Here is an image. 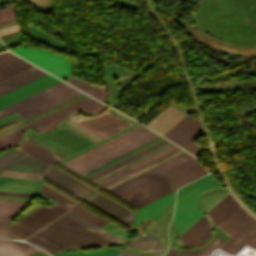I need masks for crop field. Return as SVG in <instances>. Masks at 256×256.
Masks as SVG:
<instances>
[{"instance_id": "17", "label": "crop field", "mask_w": 256, "mask_h": 256, "mask_svg": "<svg viewBox=\"0 0 256 256\" xmlns=\"http://www.w3.org/2000/svg\"><path fill=\"white\" fill-rule=\"evenodd\" d=\"M27 203L24 201L0 199V238H17L8 232L7 226L15 214Z\"/></svg>"}, {"instance_id": "27", "label": "crop field", "mask_w": 256, "mask_h": 256, "mask_svg": "<svg viewBox=\"0 0 256 256\" xmlns=\"http://www.w3.org/2000/svg\"><path fill=\"white\" fill-rule=\"evenodd\" d=\"M255 233H256V220L253 219L230 241H228L224 246H222L221 249L232 254L241 245H243L248 239H250Z\"/></svg>"}, {"instance_id": "39", "label": "crop field", "mask_w": 256, "mask_h": 256, "mask_svg": "<svg viewBox=\"0 0 256 256\" xmlns=\"http://www.w3.org/2000/svg\"><path fill=\"white\" fill-rule=\"evenodd\" d=\"M118 251L113 252H99V253H86V254H73V255H59V256H113Z\"/></svg>"}, {"instance_id": "14", "label": "crop field", "mask_w": 256, "mask_h": 256, "mask_svg": "<svg viewBox=\"0 0 256 256\" xmlns=\"http://www.w3.org/2000/svg\"><path fill=\"white\" fill-rule=\"evenodd\" d=\"M84 200L88 201L89 203L93 204L104 212L110 214L111 216L115 217L126 225L131 226L135 214L124 209L123 207L102 196L101 194L96 192Z\"/></svg>"}, {"instance_id": "6", "label": "crop field", "mask_w": 256, "mask_h": 256, "mask_svg": "<svg viewBox=\"0 0 256 256\" xmlns=\"http://www.w3.org/2000/svg\"><path fill=\"white\" fill-rule=\"evenodd\" d=\"M10 51L62 79L71 72L72 64L68 60L50 54L47 51L24 47L13 48Z\"/></svg>"}, {"instance_id": "25", "label": "crop field", "mask_w": 256, "mask_h": 256, "mask_svg": "<svg viewBox=\"0 0 256 256\" xmlns=\"http://www.w3.org/2000/svg\"><path fill=\"white\" fill-rule=\"evenodd\" d=\"M240 205L235 198L229 193L218 204H216L207 213L212 217L216 226L230 215Z\"/></svg>"}, {"instance_id": "4", "label": "crop field", "mask_w": 256, "mask_h": 256, "mask_svg": "<svg viewBox=\"0 0 256 256\" xmlns=\"http://www.w3.org/2000/svg\"><path fill=\"white\" fill-rule=\"evenodd\" d=\"M51 87V86H50ZM83 94L61 82L0 111V119L17 111L26 119Z\"/></svg>"}, {"instance_id": "2", "label": "crop field", "mask_w": 256, "mask_h": 256, "mask_svg": "<svg viewBox=\"0 0 256 256\" xmlns=\"http://www.w3.org/2000/svg\"><path fill=\"white\" fill-rule=\"evenodd\" d=\"M158 136L160 135L140 125L63 164L82 175Z\"/></svg>"}, {"instance_id": "13", "label": "crop field", "mask_w": 256, "mask_h": 256, "mask_svg": "<svg viewBox=\"0 0 256 256\" xmlns=\"http://www.w3.org/2000/svg\"><path fill=\"white\" fill-rule=\"evenodd\" d=\"M43 177L82 199L95 191L52 166L44 169Z\"/></svg>"}, {"instance_id": "43", "label": "crop field", "mask_w": 256, "mask_h": 256, "mask_svg": "<svg viewBox=\"0 0 256 256\" xmlns=\"http://www.w3.org/2000/svg\"><path fill=\"white\" fill-rule=\"evenodd\" d=\"M179 250L169 249L168 253L165 256H176Z\"/></svg>"}, {"instance_id": "40", "label": "crop field", "mask_w": 256, "mask_h": 256, "mask_svg": "<svg viewBox=\"0 0 256 256\" xmlns=\"http://www.w3.org/2000/svg\"><path fill=\"white\" fill-rule=\"evenodd\" d=\"M67 121H69V122H71V123H73V124L83 128V129H85L86 131H88V132H90V133H92V134H94V135H96V136H98V137H100L102 139H104L106 137V136H104V135H102V134H100V133H98V132H96V131H94V130H92V129H90V128H88V127H86V126H84V125L74 121V120H72V119H70V118Z\"/></svg>"}, {"instance_id": "34", "label": "crop field", "mask_w": 256, "mask_h": 256, "mask_svg": "<svg viewBox=\"0 0 256 256\" xmlns=\"http://www.w3.org/2000/svg\"><path fill=\"white\" fill-rule=\"evenodd\" d=\"M70 210L74 211L75 213L79 214L80 216L84 217L85 219L89 220L90 222L94 223L99 227L107 222L78 204Z\"/></svg>"}, {"instance_id": "18", "label": "crop field", "mask_w": 256, "mask_h": 256, "mask_svg": "<svg viewBox=\"0 0 256 256\" xmlns=\"http://www.w3.org/2000/svg\"><path fill=\"white\" fill-rule=\"evenodd\" d=\"M42 137L74 153L92 144L64 129H61L52 134L42 135Z\"/></svg>"}, {"instance_id": "12", "label": "crop field", "mask_w": 256, "mask_h": 256, "mask_svg": "<svg viewBox=\"0 0 256 256\" xmlns=\"http://www.w3.org/2000/svg\"><path fill=\"white\" fill-rule=\"evenodd\" d=\"M206 173L207 171L192 158L162 174L170 179L172 190H174Z\"/></svg>"}, {"instance_id": "38", "label": "crop field", "mask_w": 256, "mask_h": 256, "mask_svg": "<svg viewBox=\"0 0 256 256\" xmlns=\"http://www.w3.org/2000/svg\"><path fill=\"white\" fill-rule=\"evenodd\" d=\"M207 176V175H206ZM206 176L182 187L179 189L178 191V195H177V201L180 200L184 195H186L190 190H192L200 181H202ZM176 201V202H177Z\"/></svg>"}, {"instance_id": "15", "label": "crop field", "mask_w": 256, "mask_h": 256, "mask_svg": "<svg viewBox=\"0 0 256 256\" xmlns=\"http://www.w3.org/2000/svg\"><path fill=\"white\" fill-rule=\"evenodd\" d=\"M80 123L108 136L127 126L128 124L104 113L100 116L79 121Z\"/></svg>"}, {"instance_id": "35", "label": "crop field", "mask_w": 256, "mask_h": 256, "mask_svg": "<svg viewBox=\"0 0 256 256\" xmlns=\"http://www.w3.org/2000/svg\"><path fill=\"white\" fill-rule=\"evenodd\" d=\"M23 155H25V154L14 149V150L8 152L7 154L1 156L0 157V169L6 168L7 166H9L13 162H15L17 159L22 157Z\"/></svg>"}, {"instance_id": "46", "label": "crop field", "mask_w": 256, "mask_h": 256, "mask_svg": "<svg viewBox=\"0 0 256 256\" xmlns=\"http://www.w3.org/2000/svg\"><path fill=\"white\" fill-rule=\"evenodd\" d=\"M253 246H255V247H256V243H255Z\"/></svg>"}, {"instance_id": "30", "label": "crop field", "mask_w": 256, "mask_h": 256, "mask_svg": "<svg viewBox=\"0 0 256 256\" xmlns=\"http://www.w3.org/2000/svg\"><path fill=\"white\" fill-rule=\"evenodd\" d=\"M167 142H169V141L163 139V140H161V141H159V142H157V143H155V144H153V145H151V146H149V147H147V148H145V149H143V150H141V151H139V152H137V153H135V154H133V155H131V156H129V157H127V158H125V159H123V160H121V161H119V162H117V163H115V164H113V165H111V166H109V167L91 175V176H89V177H87V178L93 180V179H95V178H97V177H99V176H101V175H103V174H105V173H107V172H109V171H111V170H113V169H115V168H117V167H119V166H121V165H123V164H125V163H127V162H129V161H131V160H133V159H135V158H137V157H139V156H141V155H143V154H145V153H147V152H149V151H151V150H153V149H155V148H157V147H159L163 144H165V143H167Z\"/></svg>"}, {"instance_id": "24", "label": "crop field", "mask_w": 256, "mask_h": 256, "mask_svg": "<svg viewBox=\"0 0 256 256\" xmlns=\"http://www.w3.org/2000/svg\"><path fill=\"white\" fill-rule=\"evenodd\" d=\"M45 74L47 73L39 70L37 67H34L24 73H21L11 79H8L0 83V95L8 91H11L21 85H24L34 79H37Z\"/></svg>"}, {"instance_id": "9", "label": "crop field", "mask_w": 256, "mask_h": 256, "mask_svg": "<svg viewBox=\"0 0 256 256\" xmlns=\"http://www.w3.org/2000/svg\"><path fill=\"white\" fill-rule=\"evenodd\" d=\"M202 133L203 131L199 121L187 115L163 136L197 156L204 148L192 141Z\"/></svg>"}, {"instance_id": "16", "label": "crop field", "mask_w": 256, "mask_h": 256, "mask_svg": "<svg viewBox=\"0 0 256 256\" xmlns=\"http://www.w3.org/2000/svg\"><path fill=\"white\" fill-rule=\"evenodd\" d=\"M174 195H175V192L139 209L136 213V216L134 218L133 225L130 231L134 230L137 222L140 221L141 219H146V218L157 219L159 216H161L165 211H167L173 205Z\"/></svg>"}, {"instance_id": "33", "label": "crop field", "mask_w": 256, "mask_h": 256, "mask_svg": "<svg viewBox=\"0 0 256 256\" xmlns=\"http://www.w3.org/2000/svg\"><path fill=\"white\" fill-rule=\"evenodd\" d=\"M226 242L222 238L221 235L213 241L211 244H209L207 247L204 248V250L200 251H181L179 256H207L213 249L220 248L222 245H224Z\"/></svg>"}, {"instance_id": "11", "label": "crop field", "mask_w": 256, "mask_h": 256, "mask_svg": "<svg viewBox=\"0 0 256 256\" xmlns=\"http://www.w3.org/2000/svg\"><path fill=\"white\" fill-rule=\"evenodd\" d=\"M59 82H61V80L47 74L11 92H8L0 96V110Z\"/></svg>"}, {"instance_id": "32", "label": "crop field", "mask_w": 256, "mask_h": 256, "mask_svg": "<svg viewBox=\"0 0 256 256\" xmlns=\"http://www.w3.org/2000/svg\"><path fill=\"white\" fill-rule=\"evenodd\" d=\"M39 192L43 193L44 195L48 196L49 198L53 199L68 209L77 204L46 185H43Z\"/></svg>"}, {"instance_id": "20", "label": "crop field", "mask_w": 256, "mask_h": 256, "mask_svg": "<svg viewBox=\"0 0 256 256\" xmlns=\"http://www.w3.org/2000/svg\"><path fill=\"white\" fill-rule=\"evenodd\" d=\"M126 247L138 249V250H144V251H156L155 253L151 254H133L128 253L123 250H121L118 254L115 256H155L157 255L161 250L164 248L160 246V240L149 235H143L140 234L137 238L133 239L130 243L126 245Z\"/></svg>"}, {"instance_id": "21", "label": "crop field", "mask_w": 256, "mask_h": 256, "mask_svg": "<svg viewBox=\"0 0 256 256\" xmlns=\"http://www.w3.org/2000/svg\"><path fill=\"white\" fill-rule=\"evenodd\" d=\"M253 218L240 206L218 226L229 237H233Z\"/></svg>"}, {"instance_id": "41", "label": "crop field", "mask_w": 256, "mask_h": 256, "mask_svg": "<svg viewBox=\"0 0 256 256\" xmlns=\"http://www.w3.org/2000/svg\"><path fill=\"white\" fill-rule=\"evenodd\" d=\"M0 194L12 195V196H21V197H29V198H33L34 197V195H30V194H19V193H9V192H0Z\"/></svg>"}, {"instance_id": "19", "label": "crop field", "mask_w": 256, "mask_h": 256, "mask_svg": "<svg viewBox=\"0 0 256 256\" xmlns=\"http://www.w3.org/2000/svg\"><path fill=\"white\" fill-rule=\"evenodd\" d=\"M211 235L206 217L199 219L193 226L180 235L181 242L186 245L196 246L201 244Z\"/></svg>"}, {"instance_id": "22", "label": "crop field", "mask_w": 256, "mask_h": 256, "mask_svg": "<svg viewBox=\"0 0 256 256\" xmlns=\"http://www.w3.org/2000/svg\"><path fill=\"white\" fill-rule=\"evenodd\" d=\"M176 148H178V147L171 144V145H169V146H167V147H165V148H163V149H161V150H159V151H157V152H155V153H153V154H151V155H149V156H147V157H145V158H143V159H141V160H139V161H137V162H135V163H133V164H131V165H129V166H127V167H125V168H123V169H121V170H119V171L101 179V180H99V181H97L96 183L99 184L100 186H102V185H104V184H106V183H108V182H110V181H112V180H114V179H116V178H118V177H120V176H122V175H124V174H126V173H128V172H130V171H132V170H134V169H136V168H138V167H140V166H142V165H144V164H146V163H148V162H150V161H152V160H154V159H156V158H158V157H160V156H162V155H164V154H166V153H168L172 150H174V149H176Z\"/></svg>"}, {"instance_id": "23", "label": "crop field", "mask_w": 256, "mask_h": 256, "mask_svg": "<svg viewBox=\"0 0 256 256\" xmlns=\"http://www.w3.org/2000/svg\"><path fill=\"white\" fill-rule=\"evenodd\" d=\"M31 66L33 65L10 52L0 53V70L9 77Z\"/></svg>"}, {"instance_id": "10", "label": "crop field", "mask_w": 256, "mask_h": 256, "mask_svg": "<svg viewBox=\"0 0 256 256\" xmlns=\"http://www.w3.org/2000/svg\"><path fill=\"white\" fill-rule=\"evenodd\" d=\"M192 158V155L188 154L187 152H182L148 170H146L145 172L109 189L108 191L118 195L188 159Z\"/></svg>"}, {"instance_id": "26", "label": "crop field", "mask_w": 256, "mask_h": 256, "mask_svg": "<svg viewBox=\"0 0 256 256\" xmlns=\"http://www.w3.org/2000/svg\"><path fill=\"white\" fill-rule=\"evenodd\" d=\"M40 251L26 243L0 240V256H25Z\"/></svg>"}, {"instance_id": "5", "label": "crop field", "mask_w": 256, "mask_h": 256, "mask_svg": "<svg viewBox=\"0 0 256 256\" xmlns=\"http://www.w3.org/2000/svg\"><path fill=\"white\" fill-rule=\"evenodd\" d=\"M222 184L216 182L210 175L205 178L199 185H197L192 191L184 196L180 201L176 203L175 212L172 223L178 228L179 233H183L191 225H193L201 215L195 204V200L203 191L221 186Z\"/></svg>"}, {"instance_id": "44", "label": "crop field", "mask_w": 256, "mask_h": 256, "mask_svg": "<svg viewBox=\"0 0 256 256\" xmlns=\"http://www.w3.org/2000/svg\"><path fill=\"white\" fill-rule=\"evenodd\" d=\"M256 242V235H254L247 243L253 245Z\"/></svg>"}, {"instance_id": "29", "label": "crop field", "mask_w": 256, "mask_h": 256, "mask_svg": "<svg viewBox=\"0 0 256 256\" xmlns=\"http://www.w3.org/2000/svg\"><path fill=\"white\" fill-rule=\"evenodd\" d=\"M71 85L85 91L86 93L94 96L95 98L104 101V95L106 88L99 85H94L82 80L77 79L76 77L71 78L69 81H67Z\"/></svg>"}, {"instance_id": "28", "label": "crop field", "mask_w": 256, "mask_h": 256, "mask_svg": "<svg viewBox=\"0 0 256 256\" xmlns=\"http://www.w3.org/2000/svg\"><path fill=\"white\" fill-rule=\"evenodd\" d=\"M17 148L48 165L62 159L27 140H25L23 145Z\"/></svg>"}, {"instance_id": "37", "label": "crop field", "mask_w": 256, "mask_h": 256, "mask_svg": "<svg viewBox=\"0 0 256 256\" xmlns=\"http://www.w3.org/2000/svg\"><path fill=\"white\" fill-rule=\"evenodd\" d=\"M179 150H181V149L178 148V149H176V150H174V151H172V152H170V153H168V154H166V155H164V156H162V157H160V158H158V159H156V160H154V161H152V162H150V163H148V164H146V165H144V166H142V167H140V168H138V169H136V170H134V171H132V172H130V173H128V174H126V175H124V176L106 184V185H104V186H102V187L105 188V187H107V186H109V185H111V184H113V183H115V182H117V181H119V180H121V179H123V178H125V177H127V176H129V175H131V174H133V173H135V172H137V171H139V170H141V169H143V168H145V167H147V166H149V165H151V164H153V163H155V162H157V161H159V160H161V159H163V158H165V157H167V156H169V155H171L175 152H177V151H179Z\"/></svg>"}, {"instance_id": "42", "label": "crop field", "mask_w": 256, "mask_h": 256, "mask_svg": "<svg viewBox=\"0 0 256 256\" xmlns=\"http://www.w3.org/2000/svg\"><path fill=\"white\" fill-rule=\"evenodd\" d=\"M136 124H138V123H136ZM136 124H134V125H136ZM134 125H132V126H134ZM132 126H130V127H132ZM130 127H128V128H130ZM128 128H126V129H128ZM126 129H124V130H126ZM124 130H122V131H124ZM122 131H120V132H122ZM120 132H118V133H120ZM118 133H116V134H118ZM116 134H114V135H116ZM114 135H112V136H114ZM112 136H110V137H112ZM110 137H108V138H110ZM108 138H106V139H108ZM106 139H104V140H106ZM104 140H102V141H104ZM102 141H100V142H102ZM100 142H98V143H100ZM98 143H96V144H98ZM96 144H94V145H96ZM94 145H92V146H94ZM92 146H90V147H92ZM90 147H88V148H90ZM88 148H86V149H88ZM86 149H84V150H86ZM84 150H82V151H84ZM82 151H80V152H82ZM80 152H78V153H80ZM78 153H76V154H78ZM76 154H74V155H76ZM74 155H72V156H74ZM72 156H70V157H72ZM70 157H68V158H70ZM68 158H66V159H68ZM66 159H64V160H66ZM64 160H62V161H64ZM62 161H60V162H62Z\"/></svg>"}, {"instance_id": "7", "label": "crop field", "mask_w": 256, "mask_h": 256, "mask_svg": "<svg viewBox=\"0 0 256 256\" xmlns=\"http://www.w3.org/2000/svg\"><path fill=\"white\" fill-rule=\"evenodd\" d=\"M66 210L59 204L53 208L40 206L10 226L9 231L24 239Z\"/></svg>"}, {"instance_id": "3", "label": "crop field", "mask_w": 256, "mask_h": 256, "mask_svg": "<svg viewBox=\"0 0 256 256\" xmlns=\"http://www.w3.org/2000/svg\"><path fill=\"white\" fill-rule=\"evenodd\" d=\"M106 105L98 102L97 100L87 96L77 102H74L62 109H59L49 115H46L36 121H33L23 127H20L8 134L0 137V147L6 148L21 144V134L29 127L44 132L56 128L59 123L68 115L73 113H84L88 115L101 112Z\"/></svg>"}, {"instance_id": "31", "label": "crop field", "mask_w": 256, "mask_h": 256, "mask_svg": "<svg viewBox=\"0 0 256 256\" xmlns=\"http://www.w3.org/2000/svg\"><path fill=\"white\" fill-rule=\"evenodd\" d=\"M45 167L47 166L26 155L7 169L42 173V168Z\"/></svg>"}, {"instance_id": "1", "label": "crop field", "mask_w": 256, "mask_h": 256, "mask_svg": "<svg viewBox=\"0 0 256 256\" xmlns=\"http://www.w3.org/2000/svg\"><path fill=\"white\" fill-rule=\"evenodd\" d=\"M25 240L50 254L122 241L70 210Z\"/></svg>"}, {"instance_id": "8", "label": "crop field", "mask_w": 256, "mask_h": 256, "mask_svg": "<svg viewBox=\"0 0 256 256\" xmlns=\"http://www.w3.org/2000/svg\"><path fill=\"white\" fill-rule=\"evenodd\" d=\"M168 192H170L168 180L158 175L118 196L140 207Z\"/></svg>"}, {"instance_id": "36", "label": "crop field", "mask_w": 256, "mask_h": 256, "mask_svg": "<svg viewBox=\"0 0 256 256\" xmlns=\"http://www.w3.org/2000/svg\"><path fill=\"white\" fill-rule=\"evenodd\" d=\"M1 176L42 180V174L5 170Z\"/></svg>"}, {"instance_id": "45", "label": "crop field", "mask_w": 256, "mask_h": 256, "mask_svg": "<svg viewBox=\"0 0 256 256\" xmlns=\"http://www.w3.org/2000/svg\"><path fill=\"white\" fill-rule=\"evenodd\" d=\"M6 78H8V77L0 71V81L4 80Z\"/></svg>"}]
</instances>
